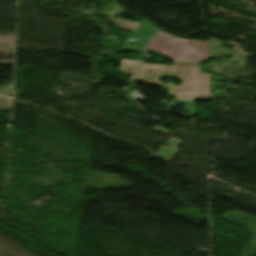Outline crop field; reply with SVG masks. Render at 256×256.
Returning a JSON list of instances; mask_svg holds the SVG:
<instances>
[{"label":"crop field","instance_id":"3","mask_svg":"<svg viewBox=\"0 0 256 256\" xmlns=\"http://www.w3.org/2000/svg\"><path fill=\"white\" fill-rule=\"evenodd\" d=\"M156 30L150 22L143 19L138 28L132 33L129 39L137 38L138 43H147L148 40L154 35Z\"/></svg>","mask_w":256,"mask_h":256},{"label":"crop field","instance_id":"2","mask_svg":"<svg viewBox=\"0 0 256 256\" xmlns=\"http://www.w3.org/2000/svg\"><path fill=\"white\" fill-rule=\"evenodd\" d=\"M147 50L158 52L174 61L201 62L210 59L209 43L179 39L161 31Z\"/></svg>","mask_w":256,"mask_h":256},{"label":"crop field","instance_id":"9","mask_svg":"<svg viewBox=\"0 0 256 256\" xmlns=\"http://www.w3.org/2000/svg\"><path fill=\"white\" fill-rule=\"evenodd\" d=\"M152 130H154V131H156V132H162V133H167V132H168V131H165V130H163V129H161V128H157V127H153Z\"/></svg>","mask_w":256,"mask_h":256},{"label":"crop field","instance_id":"1","mask_svg":"<svg viewBox=\"0 0 256 256\" xmlns=\"http://www.w3.org/2000/svg\"><path fill=\"white\" fill-rule=\"evenodd\" d=\"M167 76L182 82V86L159 83L158 79ZM138 81L170 87V94L178 100L209 99V75L198 71V64L175 62L174 66L142 64Z\"/></svg>","mask_w":256,"mask_h":256},{"label":"crop field","instance_id":"6","mask_svg":"<svg viewBox=\"0 0 256 256\" xmlns=\"http://www.w3.org/2000/svg\"><path fill=\"white\" fill-rule=\"evenodd\" d=\"M112 22L119 29L128 30V31H134L136 29V27L139 25L138 23L124 21V20L115 19V18H112Z\"/></svg>","mask_w":256,"mask_h":256},{"label":"crop field","instance_id":"5","mask_svg":"<svg viewBox=\"0 0 256 256\" xmlns=\"http://www.w3.org/2000/svg\"><path fill=\"white\" fill-rule=\"evenodd\" d=\"M138 63L139 62L137 61H131V60H125V59H122L121 61L120 71L123 74L133 76L131 82H133Z\"/></svg>","mask_w":256,"mask_h":256},{"label":"crop field","instance_id":"7","mask_svg":"<svg viewBox=\"0 0 256 256\" xmlns=\"http://www.w3.org/2000/svg\"><path fill=\"white\" fill-rule=\"evenodd\" d=\"M144 45H138L137 48H133L129 45H123L122 48L119 51H124V52H140L142 47Z\"/></svg>","mask_w":256,"mask_h":256},{"label":"crop field","instance_id":"8","mask_svg":"<svg viewBox=\"0 0 256 256\" xmlns=\"http://www.w3.org/2000/svg\"><path fill=\"white\" fill-rule=\"evenodd\" d=\"M188 115H194V101H188Z\"/></svg>","mask_w":256,"mask_h":256},{"label":"crop field","instance_id":"4","mask_svg":"<svg viewBox=\"0 0 256 256\" xmlns=\"http://www.w3.org/2000/svg\"><path fill=\"white\" fill-rule=\"evenodd\" d=\"M181 142L182 141L177 138H170L167 142V144H170L169 147L163 146L156 156L165 160L171 159L179 151L176 148Z\"/></svg>","mask_w":256,"mask_h":256}]
</instances>
